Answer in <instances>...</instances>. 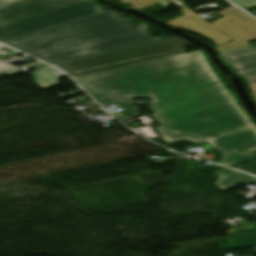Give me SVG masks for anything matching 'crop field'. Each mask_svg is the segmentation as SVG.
Instances as JSON below:
<instances>
[{
  "mask_svg": "<svg viewBox=\"0 0 256 256\" xmlns=\"http://www.w3.org/2000/svg\"><path fill=\"white\" fill-rule=\"evenodd\" d=\"M75 80L97 102L125 107L113 113L121 121L141 116L132 98H151L148 110L165 143L208 141L229 167L256 158V124L201 50Z\"/></svg>",
  "mask_w": 256,
  "mask_h": 256,
  "instance_id": "8a807250",
  "label": "crop field"
},
{
  "mask_svg": "<svg viewBox=\"0 0 256 256\" xmlns=\"http://www.w3.org/2000/svg\"><path fill=\"white\" fill-rule=\"evenodd\" d=\"M97 13L2 42L52 65L103 53L178 39L148 35L146 24H135L95 5Z\"/></svg>",
  "mask_w": 256,
  "mask_h": 256,
  "instance_id": "ac0d7876",
  "label": "crop field"
},
{
  "mask_svg": "<svg viewBox=\"0 0 256 256\" xmlns=\"http://www.w3.org/2000/svg\"><path fill=\"white\" fill-rule=\"evenodd\" d=\"M188 46L181 39L103 54L82 60L56 65L73 78L126 67L142 62L185 53Z\"/></svg>",
  "mask_w": 256,
  "mask_h": 256,
  "instance_id": "34b2d1b8",
  "label": "crop field"
},
{
  "mask_svg": "<svg viewBox=\"0 0 256 256\" xmlns=\"http://www.w3.org/2000/svg\"><path fill=\"white\" fill-rule=\"evenodd\" d=\"M95 0L0 27V42L7 39L95 13Z\"/></svg>",
  "mask_w": 256,
  "mask_h": 256,
  "instance_id": "412701ff",
  "label": "crop field"
},
{
  "mask_svg": "<svg viewBox=\"0 0 256 256\" xmlns=\"http://www.w3.org/2000/svg\"><path fill=\"white\" fill-rule=\"evenodd\" d=\"M218 13L225 18L211 24L232 38L233 41L216 48V51L223 52L250 47L251 45L246 42L256 39V21L234 7Z\"/></svg>",
  "mask_w": 256,
  "mask_h": 256,
  "instance_id": "f4fd0767",
  "label": "crop field"
},
{
  "mask_svg": "<svg viewBox=\"0 0 256 256\" xmlns=\"http://www.w3.org/2000/svg\"><path fill=\"white\" fill-rule=\"evenodd\" d=\"M163 1L166 0H121L119 3L123 5L130 3L132 4L130 7L141 10ZM169 1L180 4L182 6V13L185 15L177 17L171 21H167L168 24L184 30L196 32L204 37L210 38L216 47L232 40L177 0Z\"/></svg>",
  "mask_w": 256,
  "mask_h": 256,
  "instance_id": "dd49c442",
  "label": "crop field"
},
{
  "mask_svg": "<svg viewBox=\"0 0 256 256\" xmlns=\"http://www.w3.org/2000/svg\"><path fill=\"white\" fill-rule=\"evenodd\" d=\"M88 0H21L0 9V26Z\"/></svg>",
  "mask_w": 256,
  "mask_h": 256,
  "instance_id": "e52e79f7",
  "label": "crop field"
},
{
  "mask_svg": "<svg viewBox=\"0 0 256 256\" xmlns=\"http://www.w3.org/2000/svg\"><path fill=\"white\" fill-rule=\"evenodd\" d=\"M224 61L247 83L256 82V47L220 53Z\"/></svg>",
  "mask_w": 256,
  "mask_h": 256,
  "instance_id": "d8731c3e",
  "label": "crop field"
},
{
  "mask_svg": "<svg viewBox=\"0 0 256 256\" xmlns=\"http://www.w3.org/2000/svg\"><path fill=\"white\" fill-rule=\"evenodd\" d=\"M214 174L219 177L218 181L215 182L216 185L223 190H226L240 182L248 185L253 181H256V178L250 175L237 172L234 170H230V169L217 170V171H214Z\"/></svg>",
  "mask_w": 256,
  "mask_h": 256,
  "instance_id": "5a996713",
  "label": "crop field"
},
{
  "mask_svg": "<svg viewBox=\"0 0 256 256\" xmlns=\"http://www.w3.org/2000/svg\"><path fill=\"white\" fill-rule=\"evenodd\" d=\"M37 83L42 87L56 85L59 77L63 76L62 73L52 67L37 70L33 72Z\"/></svg>",
  "mask_w": 256,
  "mask_h": 256,
  "instance_id": "3316defc",
  "label": "crop field"
},
{
  "mask_svg": "<svg viewBox=\"0 0 256 256\" xmlns=\"http://www.w3.org/2000/svg\"><path fill=\"white\" fill-rule=\"evenodd\" d=\"M222 247L223 249L256 247V233L229 237L227 245Z\"/></svg>",
  "mask_w": 256,
  "mask_h": 256,
  "instance_id": "28ad6ade",
  "label": "crop field"
},
{
  "mask_svg": "<svg viewBox=\"0 0 256 256\" xmlns=\"http://www.w3.org/2000/svg\"><path fill=\"white\" fill-rule=\"evenodd\" d=\"M20 71V68L8 65L2 61H0V75L3 73H7L9 75H12L16 72Z\"/></svg>",
  "mask_w": 256,
  "mask_h": 256,
  "instance_id": "d1516ede",
  "label": "crop field"
},
{
  "mask_svg": "<svg viewBox=\"0 0 256 256\" xmlns=\"http://www.w3.org/2000/svg\"><path fill=\"white\" fill-rule=\"evenodd\" d=\"M236 169H241V170H244V171H247V172L256 174V161H255V162H252V163H249V164H247V165L238 167V168H236Z\"/></svg>",
  "mask_w": 256,
  "mask_h": 256,
  "instance_id": "22f410ed",
  "label": "crop field"
},
{
  "mask_svg": "<svg viewBox=\"0 0 256 256\" xmlns=\"http://www.w3.org/2000/svg\"><path fill=\"white\" fill-rule=\"evenodd\" d=\"M16 1H19V0H0V8L7 6L9 4H12Z\"/></svg>",
  "mask_w": 256,
  "mask_h": 256,
  "instance_id": "cbeb9de0",
  "label": "crop field"
},
{
  "mask_svg": "<svg viewBox=\"0 0 256 256\" xmlns=\"http://www.w3.org/2000/svg\"><path fill=\"white\" fill-rule=\"evenodd\" d=\"M249 88L252 91L253 97L256 100V83L248 84Z\"/></svg>",
  "mask_w": 256,
  "mask_h": 256,
  "instance_id": "5142ce71",
  "label": "crop field"
},
{
  "mask_svg": "<svg viewBox=\"0 0 256 256\" xmlns=\"http://www.w3.org/2000/svg\"><path fill=\"white\" fill-rule=\"evenodd\" d=\"M178 1L182 2V1H185V0H178Z\"/></svg>",
  "mask_w": 256,
  "mask_h": 256,
  "instance_id": "d9b57169",
  "label": "crop field"
},
{
  "mask_svg": "<svg viewBox=\"0 0 256 256\" xmlns=\"http://www.w3.org/2000/svg\"><path fill=\"white\" fill-rule=\"evenodd\" d=\"M251 13H253L252 11H250ZM253 14H255V13H253ZM256 15V14H255Z\"/></svg>",
  "mask_w": 256,
  "mask_h": 256,
  "instance_id": "733c2abd",
  "label": "crop field"
},
{
  "mask_svg": "<svg viewBox=\"0 0 256 256\" xmlns=\"http://www.w3.org/2000/svg\"><path fill=\"white\" fill-rule=\"evenodd\" d=\"M256 184V182H254Z\"/></svg>",
  "mask_w": 256,
  "mask_h": 256,
  "instance_id": "4a817a6b",
  "label": "crop field"
}]
</instances>
